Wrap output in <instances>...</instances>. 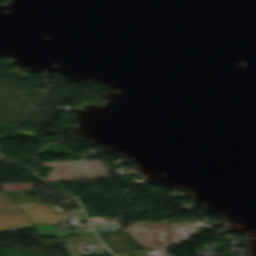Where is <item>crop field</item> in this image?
Segmentation results:
<instances>
[{"label": "crop field", "instance_id": "2", "mask_svg": "<svg viewBox=\"0 0 256 256\" xmlns=\"http://www.w3.org/2000/svg\"><path fill=\"white\" fill-rule=\"evenodd\" d=\"M86 243H89V242H86ZM80 244H84V243H80ZM70 245H72V244H68L67 246H70ZM75 245H77V244H75Z\"/></svg>", "mask_w": 256, "mask_h": 256}, {"label": "crop field", "instance_id": "1", "mask_svg": "<svg viewBox=\"0 0 256 256\" xmlns=\"http://www.w3.org/2000/svg\"><path fill=\"white\" fill-rule=\"evenodd\" d=\"M37 203H39V201L19 203L16 205L26 215L32 224L53 222L54 220L47 213L45 208Z\"/></svg>", "mask_w": 256, "mask_h": 256}]
</instances>
